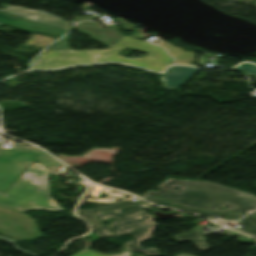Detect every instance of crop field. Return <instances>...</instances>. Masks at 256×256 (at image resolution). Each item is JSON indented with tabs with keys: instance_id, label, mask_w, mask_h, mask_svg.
Returning a JSON list of instances; mask_svg holds the SVG:
<instances>
[{
	"instance_id": "8a807250",
	"label": "crop field",
	"mask_w": 256,
	"mask_h": 256,
	"mask_svg": "<svg viewBox=\"0 0 256 256\" xmlns=\"http://www.w3.org/2000/svg\"><path fill=\"white\" fill-rule=\"evenodd\" d=\"M169 179V178H168ZM157 192L148 191L141 197L160 196L190 208L224 212L248 213L256 209V196L238 190L226 188L211 182L179 181L169 179L158 186ZM165 187L168 190H165ZM173 187L180 188L173 191ZM228 205V209L218 210Z\"/></svg>"
},
{
	"instance_id": "ac0d7876",
	"label": "crop field",
	"mask_w": 256,
	"mask_h": 256,
	"mask_svg": "<svg viewBox=\"0 0 256 256\" xmlns=\"http://www.w3.org/2000/svg\"><path fill=\"white\" fill-rule=\"evenodd\" d=\"M55 202L49 195L47 171L38 163L31 165L6 193L0 192V206L17 211L62 210Z\"/></svg>"
},
{
	"instance_id": "34b2d1b8",
	"label": "crop field",
	"mask_w": 256,
	"mask_h": 256,
	"mask_svg": "<svg viewBox=\"0 0 256 256\" xmlns=\"http://www.w3.org/2000/svg\"><path fill=\"white\" fill-rule=\"evenodd\" d=\"M140 203L125 208L114 210L108 213L97 215L99 219L115 216L119 220L111 223L108 227L116 236L128 232L134 236V239L125 243L124 248L129 250L141 251L144 254L158 255L155 248L144 249L139 246V241L150 238L151 229L157 225L153 223V217L142 211ZM140 213L138 218L127 217L128 214Z\"/></svg>"
},
{
	"instance_id": "412701ff",
	"label": "crop field",
	"mask_w": 256,
	"mask_h": 256,
	"mask_svg": "<svg viewBox=\"0 0 256 256\" xmlns=\"http://www.w3.org/2000/svg\"><path fill=\"white\" fill-rule=\"evenodd\" d=\"M125 47L134 48L147 52L148 55L144 58L129 59L125 57H120L118 54L121 49ZM102 61H119L135 66L144 67L146 69L155 70V71H164L167 65L172 63V58L168 56L164 49L155 47L148 42L136 40L123 36L118 44L111 50L105 52L96 62Z\"/></svg>"
},
{
	"instance_id": "f4fd0767",
	"label": "crop field",
	"mask_w": 256,
	"mask_h": 256,
	"mask_svg": "<svg viewBox=\"0 0 256 256\" xmlns=\"http://www.w3.org/2000/svg\"><path fill=\"white\" fill-rule=\"evenodd\" d=\"M0 23L16 26L29 31L30 26H43L47 30L41 31L48 34L61 37L67 30V22L41 12L19 9L8 6L4 10H0Z\"/></svg>"
},
{
	"instance_id": "dd49c442",
	"label": "crop field",
	"mask_w": 256,
	"mask_h": 256,
	"mask_svg": "<svg viewBox=\"0 0 256 256\" xmlns=\"http://www.w3.org/2000/svg\"><path fill=\"white\" fill-rule=\"evenodd\" d=\"M42 154L43 151L29 146L16 145L10 150L0 148V190L5 191Z\"/></svg>"
},
{
	"instance_id": "e52e79f7",
	"label": "crop field",
	"mask_w": 256,
	"mask_h": 256,
	"mask_svg": "<svg viewBox=\"0 0 256 256\" xmlns=\"http://www.w3.org/2000/svg\"><path fill=\"white\" fill-rule=\"evenodd\" d=\"M0 219L11 221L14 227L0 226V233L19 240L33 239L42 236L35 221L28 215L0 208Z\"/></svg>"
},
{
	"instance_id": "d8731c3e",
	"label": "crop field",
	"mask_w": 256,
	"mask_h": 256,
	"mask_svg": "<svg viewBox=\"0 0 256 256\" xmlns=\"http://www.w3.org/2000/svg\"><path fill=\"white\" fill-rule=\"evenodd\" d=\"M88 51L71 52L70 50L48 51L32 62L33 69H53L71 64L91 63L87 57Z\"/></svg>"
},
{
	"instance_id": "5a996713",
	"label": "crop field",
	"mask_w": 256,
	"mask_h": 256,
	"mask_svg": "<svg viewBox=\"0 0 256 256\" xmlns=\"http://www.w3.org/2000/svg\"><path fill=\"white\" fill-rule=\"evenodd\" d=\"M76 27L79 31L110 46L116 43L123 36L114 28L102 29L97 27L95 22L90 21H82Z\"/></svg>"
},
{
	"instance_id": "3316defc",
	"label": "crop field",
	"mask_w": 256,
	"mask_h": 256,
	"mask_svg": "<svg viewBox=\"0 0 256 256\" xmlns=\"http://www.w3.org/2000/svg\"><path fill=\"white\" fill-rule=\"evenodd\" d=\"M199 68L188 67V66H173L169 73L163 76L165 79V87L174 88L186 80L192 78Z\"/></svg>"
},
{
	"instance_id": "28ad6ade",
	"label": "crop field",
	"mask_w": 256,
	"mask_h": 256,
	"mask_svg": "<svg viewBox=\"0 0 256 256\" xmlns=\"http://www.w3.org/2000/svg\"><path fill=\"white\" fill-rule=\"evenodd\" d=\"M159 46L167 49L168 53L175 57V63L189 65L194 60V52H185L179 47H174L169 42H162Z\"/></svg>"
},
{
	"instance_id": "d1516ede",
	"label": "crop field",
	"mask_w": 256,
	"mask_h": 256,
	"mask_svg": "<svg viewBox=\"0 0 256 256\" xmlns=\"http://www.w3.org/2000/svg\"><path fill=\"white\" fill-rule=\"evenodd\" d=\"M150 202H154L157 203L159 205H163V206H167V207H172V208H177V209H182V210H190L191 212H195L197 214H202V215H206L208 217H212L214 215H224V216H229V218L227 220H237L238 218H240L241 216H243V214H239V213H215V212H207V211H199V210H193L190 208H186L183 206H179L170 202H167L163 199L160 198H156Z\"/></svg>"
},
{
	"instance_id": "22f410ed",
	"label": "crop field",
	"mask_w": 256,
	"mask_h": 256,
	"mask_svg": "<svg viewBox=\"0 0 256 256\" xmlns=\"http://www.w3.org/2000/svg\"><path fill=\"white\" fill-rule=\"evenodd\" d=\"M81 218L88 220L93 225V231L100 237L114 236L93 214H78Z\"/></svg>"
},
{
	"instance_id": "cbeb9de0",
	"label": "crop field",
	"mask_w": 256,
	"mask_h": 256,
	"mask_svg": "<svg viewBox=\"0 0 256 256\" xmlns=\"http://www.w3.org/2000/svg\"><path fill=\"white\" fill-rule=\"evenodd\" d=\"M175 240H191L193 241L200 250L207 248V243H204L203 234L200 231H192L189 233L174 236Z\"/></svg>"
},
{
	"instance_id": "5142ce71",
	"label": "crop field",
	"mask_w": 256,
	"mask_h": 256,
	"mask_svg": "<svg viewBox=\"0 0 256 256\" xmlns=\"http://www.w3.org/2000/svg\"><path fill=\"white\" fill-rule=\"evenodd\" d=\"M35 162H39L45 169H47L48 174L55 173L62 169L64 165L59 163L58 161L54 160L46 153L40 156Z\"/></svg>"
},
{
	"instance_id": "d9b57169",
	"label": "crop field",
	"mask_w": 256,
	"mask_h": 256,
	"mask_svg": "<svg viewBox=\"0 0 256 256\" xmlns=\"http://www.w3.org/2000/svg\"><path fill=\"white\" fill-rule=\"evenodd\" d=\"M237 222L242 224V227L238 231L256 237V218L245 216Z\"/></svg>"
},
{
	"instance_id": "733c2abd",
	"label": "crop field",
	"mask_w": 256,
	"mask_h": 256,
	"mask_svg": "<svg viewBox=\"0 0 256 256\" xmlns=\"http://www.w3.org/2000/svg\"><path fill=\"white\" fill-rule=\"evenodd\" d=\"M140 201L141 200L133 202L131 199H128V200L120 201V202H117V203H114V204L97 207V208H94V209H91V210H77V212L97 214L99 212H103V211H107V210H111V209L127 206V205H130V204H133V203H137V202H140Z\"/></svg>"
},
{
	"instance_id": "4a817a6b",
	"label": "crop field",
	"mask_w": 256,
	"mask_h": 256,
	"mask_svg": "<svg viewBox=\"0 0 256 256\" xmlns=\"http://www.w3.org/2000/svg\"><path fill=\"white\" fill-rule=\"evenodd\" d=\"M129 253H130V251H125L120 255H100V254L94 253V252L84 248L80 252H78L77 254H75L73 256H128Z\"/></svg>"
},
{
	"instance_id": "bc2a9ffb",
	"label": "crop field",
	"mask_w": 256,
	"mask_h": 256,
	"mask_svg": "<svg viewBox=\"0 0 256 256\" xmlns=\"http://www.w3.org/2000/svg\"><path fill=\"white\" fill-rule=\"evenodd\" d=\"M237 68L242 70V71H244V72H246V73H250V74L256 75V66L253 65V64L243 63L242 65H240Z\"/></svg>"
},
{
	"instance_id": "214f88e0",
	"label": "crop field",
	"mask_w": 256,
	"mask_h": 256,
	"mask_svg": "<svg viewBox=\"0 0 256 256\" xmlns=\"http://www.w3.org/2000/svg\"><path fill=\"white\" fill-rule=\"evenodd\" d=\"M70 36L66 35L63 38H61L57 44L51 49H69L68 48V44H67V40L69 39Z\"/></svg>"
},
{
	"instance_id": "92a150f3",
	"label": "crop field",
	"mask_w": 256,
	"mask_h": 256,
	"mask_svg": "<svg viewBox=\"0 0 256 256\" xmlns=\"http://www.w3.org/2000/svg\"><path fill=\"white\" fill-rule=\"evenodd\" d=\"M116 44H117V43H116ZM116 44H114V46H115ZM114 46H113V47H114ZM113 47H111V48H109V49H107V50H110V49H112ZM71 51H73V50H71ZM105 51H106V50H89L88 57H89L90 59H93V60L98 59Z\"/></svg>"
},
{
	"instance_id": "dafd665d",
	"label": "crop field",
	"mask_w": 256,
	"mask_h": 256,
	"mask_svg": "<svg viewBox=\"0 0 256 256\" xmlns=\"http://www.w3.org/2000/svg\"><path fill=\"white\" fill-rule=\"evenodd\" d=\"M122 22H123V25H124V29L130 30L134 26L133 24H128V23H126L124 21H122Z\"/></svg>"
},
{
	"instance_id": "00972430",
	"label": "crop field",
	"mask_w": 256,
	"mask_h": 256,
	"mask_svg": "<svg viewBox=\"0 0 256 256\" xmlns=\"http://www.w3.org/2000/svg\"><path fill=\"white\" fill-rule=\"evenodd\" d=\"M0 225L13 226V224L11 222H7V221H3V220H0Z\"/></svg>"
},
{
	"instance_id": "a9b5d70f",
	"label": "crop field",
	"mask_w": 256,
	"mask_h": 256,
	"mask_svg": "<svg viewBox=\"0 0 256 256\" xmlns=\"http://www.w3.org/2000/svg\"><path fill=\"white\" fill-rule=\"evenodd\" d=\"M93 18H95V17H88V18H79V17H76L77 21H79V20L93 19Z\"/></svg>"
},
{
	"instance_id": "4177f3b9",
	"label": "crop field",
	"mask_w": 256,
	"mask_h": 256,
	"mask_svg": "<svg viewBox=\"0 0 256 256\" xmlns=\"http://www.w3.org/2000/svg\"><path fill=\"white\" fill-rule=\"evenodd\" d=\"M31 28L37 29V30H44V29H45V28H43V27H31Z\"/></svg>"
},
{
	"instance_id": "730fd06b",
	"label": "crop field",
	"mask_w": 256,
	"mask_h": 256,
	"mask_svg": "<svg viewBox=\"0 0 256 256\" xmlns=\"http://www.w3.org/2000/svg\"><path fill=\"white\" fill-rule=\"evenodd\" d=\"M176 256H193V255H186V254H178Z\"/></svg>"
},
{
	"instance_id": "eef30255",
	"label": "crop field",
	"mask_w": 256,
	"mask_h": 256,
	"mask_svg": "<svg viewBox=\"0 0 256 256\" xmlns=\"http://www.w3.org/2000/svg\"><path fill=\"white\" fill-rule=\"evenodd\" d=\"M128 216H131V217H138V216H139V214L128 215Z\"/></svg>"
},
{
	"instance_id": "ae1a2a85",
	"label": "crop field",
	"mask_w": 256,
	"mask_h": 256,
	"mask_svg": "<svg viewBox=\"0 0 256 256\" xmlns=\"http://www.w3.org/2000/svg\"><path fill=\"white\" fill-rule=\"evenodd\" d=\"M249 215L256 216V211H255V212H253V213H251V214H249Z\"/></svg>"
},
{
	"instance_id": "d3111659",
	"label": "crop field",
	"mask_w": 256,
	"mask_h": 256,
	"mask_svg": "<svg viewBox=\"0 0 256 256\" xmlns=\"http://www.w3.org/2000/svg\"><path fill=\"white\" fill-rule=\"evenodd\" d=\"M151 199H153V198H150L149 200H151ZM149 200H148V201H149Z\"/></svg>"
}]
</instances>
